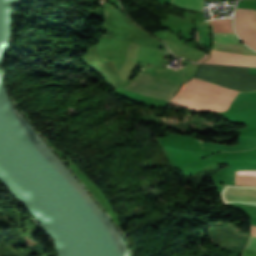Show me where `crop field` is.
Here are the masks:
<instances>
[{
  "label": "crop field",
  "instance_id": "crop-field-1",
  "mask_svg": "<svg viewBox=\"0 0 256 256\" xmlns=\"http://www.w3.org/2000/svg\"><path fill=\"white\" fill-rule=\"evenodd\" d=\"M213 40L240 43L232 29V19L212 20ZM211 57L204 63L256 66V52L243 44L213 41Z\"/></svg>",
  "mask_w": 256,
  "mask_h": 256
},
{
  "label": "crop field",
  "instance_id": "crop-field-3",
  "mask_svg": "<svg viewBox=\"0 0 256 256\" xmlns=\"http://www.w3.org/2000/svg\"><path fill=\"white\" fill-rule=\"evenodd\" d=\"M138 44L119 40L114 60L121 78L126 81L137 59Z\"/></svg>",
  "mask_w": 256,
  "mask_h": 256
},
{
  "label": "crop field",
  "instance_id": "crop-field-11",
  "mask_svg": "<svg viewBox=\"0 0 256 256\" xmlns=\"http://www.w3.org/2000/svg\"><path fill=\"white\" fill-rule=\"evenodd\" d=\"M252 14H253L254 22H255V25H256V11L252 10Z\"/></svg>",
  "mask_w": 256,
  "mask_h": 256
},
{
  "label": "crop field",
  "instance_id": "crop-field-6",
  "mask_svg": "<svg viewBox=\"0 0 256 256\" xmlns=\"http://www.w3.org/2000/svg\"><path fill=\"white\" fill-rule=\"evenodd\" d=\"M196 69H197V65L187 62V66L179 70H170L167 68H160V67H150L145 69L144 72L190 80V78L193 77Z\"/></svg>",
  "mask_w": 256,
  "mask_h": 256
},
{
  "label": "crop field",
  "instance_id": "crop-field-10",
  "mask_svg": "<svg viewBox=\"0 0 256 256\" xmlns=\"http://www.w3.org/2000/svg\"><path fill=\"white\" fill-rule=\"evenodd\" d=\"M246 248L256 251V237H252V236L250 237ZM247 249L244 250L242 256H256L255 251H251Z\"/></svg>",
  "mask_w": 256,
  "mask_h": 256
},
{
  "label": "crop field",
  "instance_id": "crop-field-2",
  "mask_svg": "<svg viewBox=\"0 0 256 256\" xmlns=\"http://www.w3.org/2000/svg\"><path fill=\"white\" fill-rule=\"evenodd\" d=\"M231 100L183 88L179 90L170 105H178L200 111H225Z\"/></svg>",
  "mask_w": 256,
  "mask_h": 256
},
{
  "label": "crop field",
  "instance_id": "crop-field-9",
  "mask_svg": "<svg viewBox=\"0 0 256 256\" xmlns=\"http://www.w3.org/2000/svg\"><path fill=\"white\" fill-rule=\"evenodd\" d=\"M170 4L192 11H202L204 0H172Z\"/></svg>",
  "mask_w": 256,
  "mask_h": 256
},
{
  "label": "crop field",
  "instance_id": "crop-field-8",
  "mask_svg": "<svg viewBox=\"0 0 256 256\" xmlns=\"http://www.w3.org/2000/svg\"><path fill=\"white\" fill-rule=\"evenodd\" d=\"M235 184L256 185V170L236 171Z\"/></svg>",
  "mask_w": 256,
  "mask_h": 256
},
{
  "label": "crop field",
  "instance_id": "crop-field-5",
  "mask_svg": "<svg viewBox=\"0 0 256 256\" xmlns=\"http://www.w3.org/2000/svg\"><path fill=\"white\" fill-rule=\"evenodd\" d=\"M163 41L168 45V47L172 50V52L175 55L184 57L186 59L199 62L205 56H207L205 53H201L193 48L187 47L186 45L181 43L179 40H163ZM208 58H209V55L200 62L203 63Z\"/></svg>",
  "mask_w": 256,
  "mask_h": 256
},
{
  "label": "crop field",
  "instance_id": "crop-field-4",
  "mask_svg": "<svg viewBox=\"0 0 256 256\" xmlns=\"http://www.w3.org/2000/svg\"><path fill=\"white\" fill-rule=\"evenodd\" d=\"M221 199L223 203L239 202L256 205V186L226 185L221 193Z\"/></svg>",
  "mask_w": 256,
  "mask_h": 256
},
{
  "label": "crop field",
  "instance_id": "crop-field-7",
  "mask_svg": "<svg viewBox=\"0 0 256 256\" xmlns=\"http://www.w3.org/2000/svg\"><path fill=\"white\" fill-rule=\"evenodd\" d=\"M202 147L214 148L222 151H241L256 147V137L239 136L237 146H227L210 142H202Z\"/></svg>",
  "mask_w": 256,
  "mask_h": 256
}]
</instances>
